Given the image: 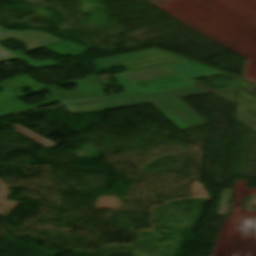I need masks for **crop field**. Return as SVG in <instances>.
Wrapping results in <instances>:
<instances>
[{
    "instance_id": "1",
    "label": "crop field",
    "mask_w": 256,
    "mask_h": 256,
    "mask_svg": "<svg viewBox=\"0 0 256 256\" xmlns=\"http://www.w3.org/2000/svg\"><path fill=\"white\" fill-rule=\"evenodd\" d=\"M127 91L125 93L58 100L63 106L111 102L118 99L178 89L195 84L171 68L160 65L113 75ZM152 77V79H149Z\"/></svg>"
},
{
    "instance_id": "2",
    "label": "crop field",
    "mask_w": 256,
    "mask_h": 256,
    "mask_svg": "<svg viewBox=\"0 0 256 256\" xmlns=\"http://www.w3.org/2000/svg\"><path fill=\"white\" fill-rule=\"evenodd\" d=\"M210 93L202 86H194L189 88H183L173 91H167L162 93H156L151 95H145L135 98H129L124 100H118L112 103L94 104V105H82V106H70L65 107L72 114L103 111L115 108H122L128 106H135L141 104L151 103L159 111H161L166 117L174 122L182 130L205 125L194 112H192L184 103L178 98L193 96L198 94Z\"/></svg>"
},
{
    "instance_id": "3",
    "label": "crop field",
    "mask_w": 256,
    "mask_h": 256,
    "mask_svg": "<svg viewBox=\"0 0 256 256\" xmlns=\"http://www.w3.org/2000/svg\"><path fill=\"white\" fill-rule=\"evenodd\" d=\"M183 60V58L157 49L96 60L97 70L125 66L127 69Z\"/></svg>"
},
{
    "instance_id": "4",
    "label": "crop field",
    "mask_w": 256,
    "mask_h": 256,
    "mask_svg": "<svg viewBox=\"0 0 256 256\" xmlns=\"http://www.w3.org/2000/svg\"><path fill=\"white\" fill-rule=\"evenodd\" d=\"M61 84H77L73 91H64L57 88L56 85ZM56 85L47 86V89L52 93L55 99L97 96L104 95L99 80L96 76H88L83 80L71 81L66 83H56Z\"/></svg>"
},
{
    "instance_id": "5",
    "label": "crop field",
    "mask_w": 256,
    "mask_h": 256,
    "mask_svg": "<svg viewBox=\"0 0 256 256\" xmlns=\"http://www.w3.org/2000/svg\"><path fill=\"white\" fill-rule=\"evenodd\" d=\"M11 38L24 43L27 46L28 51L39 46L61 41L60 39L42 31H10L4 30L0 27L1 43ZM39 43H42V45H39Z\"/></svg>"
},
{
    "instance_id": "6",
    "label": "crop field",
    "mask_w": 256,
    "mask_h": 256,
    "mask_svg": "<svg viewBox=\"0 0 256 256\" xmlns=\"http://www.w3.org/2000/svg\"><path fill=\"white\" fill-rule=\"evenodd\" d=\"M167 66L171 67L172 69L178 71L179 73L190 79L224 73L222 71L206 67L191 61L168 64Z\"/></svg>"
},
{
    "instance_id": "7",
    "label": "crop field",
    "mask_w": 256,
    "mask_h": 256,
    "mask_svg": "<svg viewBox=\"0 0 256 256\" xmlns=\"http://www.w3.org/2000/svg\"><path fill=\"white\" fill-rule=\"evenodd\" d=\"M0 87L8 90L10 93L14 94L17 97L45 89L44 85L36 84L34 81H32L25 75L0 82ZM24 87H29L32 91L27 94H24L19 90Z\"/></svg>"
},
{
    "instance_id": "8",
    "label": "crop field",
    "mask_w": 256,
    "mask_h": 256,
    "mask_svg": "<svg viewBox=\"0 0 256 256\" xmlns=\"http://www.w3.org/2000/svg\"><path fill=\"white\" fill-rule=\"evenodd\" d=\"M45 50H48L52 53L60 55L62 57L71 55V56H78L83 52L87 51L88 49L83 48L79 45L71 43L69 41H62L59 43H55L49 46L42 47Z\"/></svg>"
},
{
    "instance_id": "9",
    "label": "crop field",
    "mask_w": 256,
    "mask_h": 256,
    "mask_svg": "<svg viewBox=\"0 0 256 256\" xmlns=\"http://www.w3.org/2000/svg\"><path fill=\"white\" fill-rule=\"evenodd\" d=\"M45 98L47 99V101L36 106H26L15 99L0 103V116L35 108L37 106L47 105L48 103L57 102V100H55L52 96L47 95L45 96ZM13 103H15V105H13Z\"/></svg>"
},
{
    "instance_id": "10",
    "label": "crop field",
    "mask_w": 256,
    "mask_h": 256,
    "mask_svg": "<svg viewBox=\"0 0 256 256\" xmlns=\"http://www.w3.org/2000/svg\"><path fill=\"white\" fill-rule=\"evenodd\" d=\"M12 127L16 129L15 130L16 132L22 134L23 136L41 144V145H43L47 148H50L52 146L57 145L56 143H54V142H52V141H50V140H48V139H46V138H44V137H42L38 134L26 129L25 127H23L19 124L15 125V126H12Z\"/></svg>"
},
{
    "instance_id": "11",
    "label": "crop field",
    "mask_w": 256,
    "mask_h": 256,
    "mask_svg": "<svg viewBox=\"0 0 256 256\" xmlns=\"http://www.w3.org/2000/svg\"><path fill=\"white\" fill-rule=\"evenodd\" d=\"M18 59L25 60L28 63V65H30L31 67H35V68L52 67V66H58L59 65V64H57V63H55L51 60L41 61V62H33L32 60H30L25 55H23L22 57H20Z\"/></svg>"
},
{
    "instance_id": "12",
    "label": "crop field",
    "mask_w": 256,
    "mask_h": 256,
    "mask_svg": "<svg viewBox=\"0 0 256 256\" xmlns=\"http://www.w3.org/2000/svg\"><path fill=\"white\" fill-rule=\"evenodd\" d=\"M16 57V55L6 49H4L1 45H0V61L3 60H7L10 58Z\"/></svg>"
},
{
    "instance_id": "13",
    "label": "crop field",
    "mask_w": 256,
    "mask_h": 256,
    "mask_svg": "<svg viewBox=\"0 0 256 256\" xmlns=\"http://www.w3.org/2000/svg\"><path fill=\"white\" fill-rule=\"evenodd\" d=\"M10 98H14V96L8 94L7 92L0 93V101L10 99Z\"/></svg>"
}]
</instances>
